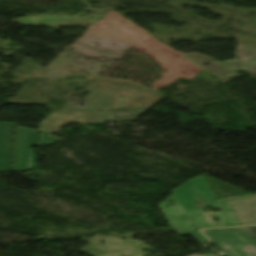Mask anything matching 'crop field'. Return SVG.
<instances>
[{
  "label": "crop field",
  "instance_id": "obj_1",
  "mask_svg": "<svg viewBox=\"0 0 256 256\" xmlns=\"http://www.w3.org/2000/svg\"><path fill=\"white\" fill-rule=\"evenodd\" d=\"M172 191L174 196L161 207L176 231L241 225L228 199L217 201L204 177L193 179ZM170 200L175 202V206L170 205ZM205 206H215L222 213L202 214ZM188 216L191 217L184 218Z\"/></svg>",
  "mask_w": 256,
  "mask_h": 256
},
{
  "label": "crop field",
  "instance_id": "obj_2",
  "mask_svg": "<svg viewBox=\"0 0 256 256\" xmlns=\"http://www.w3.org/2000/svg\"><path fill=\"white\" fill-rule=\"evenodd\" d=\"M13 126H16L12 162L11 144ZM39 131L17 126L13 123H0V172L32 170L36 156L32 146H37Z\"/></svg>",
  "mask_w": 256,
  "mask_h": 256
},
{
  "label": "crop field",
  "instance_id": "obj_3",
  "mask_svg": "<svg viewBox=\"0 0 256 256\" xmlns=\"http://www.w3.org/2000/svg\"><path fill=\"white\" fill-rule=\"evenodd\" d=\"M202 232L227 256H256V244L240 228L203 230Z\"/></svg>",
  "mask_w": 256,
  "mask_h": 256
},
{
  "label": "crop field",
  "instance_id": "obj_4",
  "mask_svg": "<svg viewBox=\"0 0 256 256\" xmlns=\"http://www.w3.org/2000/svg\"><path fill=\"white\" fill-rule=\"evenodd\" d=\"M242 225L256 224V194L229 199Z\"/></svg>",
  "mask_w": 256,
  "mask_h": 256
},
{
  "label": "crop field",
  "instance_id": "obj_5",
  "mask_svg": "<svg viewBox=\"0 0 256 256\" xmlns=\"http://www.w3.org/2000/svg\"><path fill=\"white\" fill-rule=\"evenodd\" d=\"M177 233L178 235H192L197 241H199L206 248L209 246L208 240L203 235H201L197 230L183 231V232H177ZM206 242L208 244H205Z\"/></svg>",
  "mask_w": 256,
  "mask_h": 256
},
{
  "label": "crop field",
  "instance_id": "obj_6",
  "mask_svg": "<svg viewBox=\"0 0 256 256\" xmlns=\"http://www.w3.org/2000/svg\"><path fill=\"white\" fill-rule=\"evenodd\" d=\"M256 243V227L241 228Z\"/></svg>",
  "mask_w": 256,
  "mask_h": 256
},
{
  "label": "crop field",
  "instance_id": "obj_7",
  "mask_svg": "<svg viewBox=\"0 0 256 256\" xmlns=\"http://www.w3.org/2000/svg\"><path fill=\"white\" fill-rule=\"evenodd\" d=\"M199 256V255H198Z\"/></svg>",
  "mask_w": 256,
  "mask_h": 256
}]
</instances>
